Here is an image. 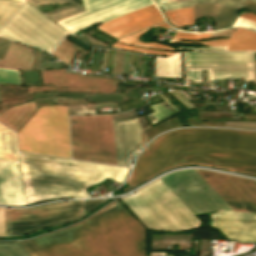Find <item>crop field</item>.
<instances>
[{"instance_id":"48","label":"crop field","mask_w":256,"mask_h":256,"mask_svg":"<svg viewBox=\"0 0 256 256\" xmlns=\"http://www.w3.org/2000/svg\"><path fill=\"white\" fill-rule=\"evenodd\" d=\"M204 78H205V83H209L208 76H207V71H204Z\"/></svg>"},{"instance_id":"26","label":"crop field","mask_w":256,"mask_h":256,"mask_svg":"<svg viewBox=\"0 0 256 256\" xmlns=\"http://www.w3.org/2000/svg\"><path fill=\"white\" fill-rule=\"evenodd\" d=\"M155 26H162V27H165V28H171L169 25L166 24V22H162V23H160L158 25H155ZM155 26L146 28L144 30L138 31V32L133 33L131 35H128L126 37L120 38V39H118L117 42L124 43V44H132V45L145 46V47L173 50L171 48L165 47V46L160 45V44H156V43H143V42L137 41L139 36H141L147 30H149V29H151V28H153Z\"/></svg>"},{"instance_id":"44","label":"crop field","mask_w":256,"mask_h":256,"mask_svg":"<svg viewBox=\"0 0 256 256\" xmlns=\"http://www.w3.org/2000/svg\"><path fill=\"white\" fill-rule=\"evenodd\" d=\"M172 91V90H171ZM172 95H176V94H178L176 91H172V92H170ZM176 98H178L184 105H186L188 108H193L192 107V105L190 104V103H188L187 101H186V99H184L183 97H181L180 95H177V96H175ZM177 99V100H178Z\"/></svg>"},{"instance_id":"9","label":"crop field","mask_w":256,"mask_h":256,"mask_svg":"<svg viewBox=\"0 0 256 256\" xmlns=\"http://www.w3.org/2000/svg\"><path fill=\"white\" fill-rule=\"evenodd\" d=\"M74 206H82V200L46 205L37 208H6V211ZM81 215L82 207L6 212V235H22L39 230L41 228L70 222L81 217Z\"/></svg>"},{"instance_id":"37","label":"crop field","mask_w":256,"mask_h":256,"mask_svg":"<svg viewBox=\"0 0 256 256\" xmlns=\"http://www.w3.org/2000/svg\"><path fill=\"white\" fill-rule=\"evenodd\" d=\"M34 5L38 4H51V3H73L74 0H28Z\"/></svg>"},{"instance_id":"42","label":"crop field","mask_w":256,"mask_h":256,"mask_svg":"<svg viewBox=\"0 0 256 256\" xmlns=\"http://www.w3.org/2000/svg\"><path fill=\"white\" fill-rule=\"evenodd\" d=\"M177 49H191V50H227V47H202V48L177 47Z\"/></svg>"},{"instance_id":"2","label":"crop field","mask_w":256,"mask_h":256,"mask_svg":"<svg viewBox=\"0 0 256 256\" xmlns=\"http://www.w3.org/2000/svg\"><path fill=\"white\" fill-rule=\"evenodd\" d=\"M32 240L47 256H144V230L118 201Z\"/></svg>"},{"instance_id":"33","label":"crop field","mask_w":256,"mask_h":256,"mask_svg":"<svg viewBox=\"0 0 256 256\" xmlns=\"http://www.w3.org/2000/svg\"><path fill=\"white\" fill-rule=\"evenodd\" d=\"M31 256H46L38 246L31 240L17 241Z\"/></svg>"},{"instance_id":"20","label":"crop field","mask_w":256,"mask_h":256,"mask_svg":"<svg viewBox=\"0 0 256 256\" xmlns=\"http://www.w3.org/2000/svg\"><path fill=\"white\" fill-rule=\"evenodd\" d=\"M34 102L13 107L0 115V122L18 131L35 111Z\"/></svg>"},{"instance_id":"25","label":"crop field","mask_w":256,"mask_h":256,"mask_svg":"<svg viewBox=\"0 0 256 256\" xmlns=\"http://www.w3.org/2000/svg\"><path fill=\"white\" fill-rule=\"evenodd\" d=\"M77 50L83 53H89L65 39L52 54L69 65Z\"/></svg>"},{"instance_id":"32","label":"crop field","mask_w":256,"mask_h":256,"mask_svg":"<svg viewBox=\"0 0 256 256\" xmlns=\"http://www.w3.org/2000/svg\"><path fill=\"white\" fill-rule=\"evenodd\" d=\"M112 47L131 50V51H136V52H140V53L154 54V55L168 56V55L172 54V52H165V51L144 49V48H138V47H131V46H126V45H122V44H118V43L113 44Z\"/></svg>"},{"instance_id":"27","label":"crop field","mask_w":256,"mask_h":256,"mask_svg":"<svg viewBox=\"0 0 256 256\" xmlns=\"http://www.w3.org/2000/svg\"><path fill=\"white\" fill-rule=\"evenodd\" d=\"M165 15L168 20L175 26L193 24L192 7L166 12Z\"/></svg>"},{"instance_id":"43","label":"crop field","mask_w":256,"mask_h":256,"mask_svg":"<svg viewBox=\"0 0 256 256\" xmlns=\"http://www.w3.org/2000/svg\"><path fill=\"white\" fill-rule=\"evenodd\" d=\"M243 8L256 12V2L246 0Z\"/></svg>"},{"instance_id":"39","label":"crop field","mask_w":256,"mask_h":256,"mask_svg":"<svg viewBox=\"0 0 256 256\" xmlns=\"http://www.w3.org/2000/svg\"><path fill=\"white\" fill-rule=\"evenodd\" d=\"M0 235H5V208H0Z\"/></svg>"},{"instance_id":"15","label":"crop field","mask_w":256,"mask_h":256,"mask_svg":"<svg viewBox=\"0 0 256 256\" xmlns=\"http://www.w3.org/2000/svg\"><path fill=\"white\" fill-rule=\"evenodd\" d=\"M113 128L116 164L128 166V156L146 141V137L136 118L113 121Z\"/></svg>"},{"instance_id":"1","label":"crop field","mask_w":256,"mask_h":256,"mask_svg":"<svg viewBox=\"0 0 256 256\" xmlns=\"http://www.w3.org/2000/svg\"><path fill=\"white\" fill-rule=\"evenodd\" d=\"M144 151L126 182L129 187L167 167L187 163L256 174V132L173 130L153 140Z\"/></svg>"},{"instance_id":"11","label":"crop field","mask_w":256,"mask_h":256,"mask_svg":"<svg viewBox=\"0 0 256 256\" xmlns=\"http://www.w3.org/2000/svg\"><path fill=\"white\" fill-rule=\"evenodd\" d=\"M234 211L256 212V182L196 170ZM208 175V178L205 176Z\"/></svg>"},{"instance_id":"29","label":"crop field","mask_w":256,"mask_h":256,"mask_svg":"<svg viewBox=\"0 0 256 256\" xmlns=\"http://www.w3.org/2000/svg\"><path fill=\"white\" fill-rule=\"evenodd\" d=\"M21 1L0 0V27L6 22L11 14L21 5Z\"/></svg>"},{"instance_id":"28","label":"crop field","mask_w":256,"mask_h":256,"mask_svg":"<svg viewBox=\"0 0 256 256\" xmlns=\"http://www.w3.org/2000/svg\"><path fill=\"white\" fill-rule=\"evenodd\" d=\"M0 256H30L16 241L0 242Z\"/></svg>"},{"instance_id":"16","label":"crop field","mask_w":256,"mask_h":256,"mask_svg":"<svg viewBox=\"0 0 256 256\" xmlns=\"http://www.w3.org/2000/svg\"><path fill=\"white\" fill-rule=\"evenodd\" d=\"M210 34H188L177 31L168 41L170 43H202L205 46H228V50H256V33L238 28L230 39L205 41V42H185L184 40L210 39Z\"/></svg>"},{"instance_id":"17","label":"crop field","mask_w":256,"mask_h":256,"mask_svg":"<svg viewBox=\"0 0 256 256\" xmlns=\"http://www.w3.org/2000/svg\"><path fill=\"white\" fill-rule=\"evenodd\" d=\"M0 204H25L17 163L0 162Z\"/></svg>"},{"instance_id":"5","label":"crop field","mask_w":256,"mask_h":256,"mask_svg":"<svg viewBox=\"0 0 256 256\" xmlns=\"http://www.w3.org/2000/svg\"><path fill=\"white\" fill-rule=\"evenodd\" d=\"M121 200L147 228L179 232L201 223L160 179Z\"/></svg>"},{"instance_id":"22","label":"crop field","mask_w":256,"mask_h":256,"mask_svg":"<svg viewBox=\"0 0 256 256\" xmlns=\"http://www.w3.org/2000/svg\"><path fill=\"white\" fill-rule=\"evenodd\" d=\"M139 88H141V87H139ZM139 88H137V89H139ZM117 89L129 90V89H134V88L117 86ZM117 91H121V90H117ZM44 95H45V98H52V97H54L55 92L44 93ZM38 96H39V99L44 98L43 93H38ZM38 96H37V93H35L34 99H38ZM56 96L72 97V92H56ZM73 96H86V93H73ZM90 96H91V102H93V98H94V102H105V101H109V100L123 102L119 92L114 93V94H108L109 100H108L107 94H93V98H92V94H90ZM90 96H89V94H87V101H90Z\"/></svg>"},{"instance_id":"38","label":"crop field","mask_w":256,"mask_h":256,"mask_svg":"<svg viewBox=\"0 0 256 256\" xmlns=\"http://www.w3.org/2000/svg\"><path fill=\"white\" fill-rule=\"evenodd\" d=\"M233 26V25H232ZM234 26H245L256 30V24L238 17Z\"/></svg>"},{"instance_id":"14","label":"crop field","mask_w":256,"mask_h":256,"mask_svg":"<svg viewBox=\"0 0 256 256\" xmlns=\"http://www.w3.org/2000/svg\"><path fill=\"white\" fill-rule=\"evenodd\" d=\"M162 21L163 19L159 11L153 4H151L128 14L106 21L103 25L97 28L116 38H120Z\"/></svg>"},{"instance_id":"8","label":"crop field","mask_w":256,"mask_h":256,"mask_svg":"<svg viewBox=\"0 0 256 256\" xmlns=\"http://www.w3.org/2000/svg\"><path fill=\"white\" fill-rule=\"evenodd\" d=\"M68 34L34 7L24 5L1 28L0 35L47 52Z\"/></svg>"},{"instance_id":"3","label":"crop field","mask_w":256,"mask_h":256,"mask_svg":"<svg viewBox=\"0 0 256 256\" xmlns=\"http://www.w3.org/2000/svg\"><path fill=\"white\" fill-rule=\"evenodd\" d=\"M27 204L57 197H86L110 177L122 182L128 168L18 153ZM88 190V189H87Z\"/></svg>"},{"instance_id":"30","label":"crop field","mask_w":256,"mask_h":256,"mask_svg":"<svg viewBox=\"0 0 256 256\" xmlns=\"http://www.w3.org/2000/svg\"><path fill=\"white\" fill-rule=\"evenodd\" d=\"M82 12H85V11L82 9L81 5H79V6H76V7H73V8H69V9L60 11L58 13L49 15V17H51L53 20L58 22V21H61L63 19L69 18L71 16L80 14Z\"/></svg>"},{"instance_id":"21","label":"crop field","mask_w":256,"mask_h":256,"mask_svg":"<svg viewBox=\"0 0 256 256\" xmlns=\"http://www.w3.org/2000/svg\"><path fill=\"white\" fill-rule=\"evenodd\" d=\"M0 160L17 161L15 133L0 124Z\"/></svg>"},{"instance_id":"18","label":"crop field","mask_w":256,"mask_h":256,"mask_svg":"<svg viewBox=\"0 0 256 256\" xmlns=\"http://www.w3.org/2000/svg\"><path fill=\"white\" fill-rule=\"evenodd\" d=\"M239 9L215 4L193 5L194 22L203 16L210 15L214 18L215 29L229 27L236 17Z\"/></svg>"},{"instance_id":"34","label":"crop field","mask_w":256,"mask_h":256,"mask_svg":"<svg viewBox=\"0 0 256 256\" xmlns=\"http://www.w3.org/2000/svg\"><path fill=\"white\" fill-rule=\"evenodd\" d=\"M124 52L115 50L112 74H122Z\"/></svg>"},{"instance_id":"49","label":"crop field","mask_w":256,"mask_h":256,"mask_svg":"<svg viewBox=\"0 0 256 256\" xmlns=\"http://www.w3.org/2000/svg\"><path fill=\"white\" fill-rule=\"evenodd\" d=\"M159 94V93H158ZM161 94V93H160ZM159 94V95H160ZM161 96V95H160ZM162 97V96H161ZM163 98V97H162ZM164 99V98H163ZM165 100V99H164ZM167 104H169L174 110L178 111L173 105H171L169 102L165 101Z\"/></svg>"},{"instance_id":"4","label":"crop field","mask_w":256,"mask_h":256,"mask_svg":"<svg viewBox=\"0 0 256 256\" xmlns=\"http://www.w3.org/2000/svg\"><path fill=\"white\" fill-rule=\"evenodd\" d=\"M193 214L221 210L211 216L256 219V213L234 212L195 170L171 173L160 178ZM211 217L228 238L256 242V220Z\"/></svg>"},{"instance_id":"31","label":"crop field","mask_w":256,"mask_h":256,"mask_svg":"<svg viewBox=\"0 0 256 256\" xmlns=\"http://www.w3.org/2000/svg\"><path fill=\"white\" fill-rule=\"evenodd\" d=\"M0 83H21L18 70L0 69Z\"/></svg>"},{"instance_id":"46","label":"crop field","mask_w":256,"mask_h":256,"mask_svg":"<svg viewBox=\"0 0 256 256\" xmlns=\"http://www.w3.org/2000/svg\"><path fill=\"white\" fill-rule=\"evenodd\" d=\"M79 4H80V3L70 4V5H68V6H65V7H63V8L58 9V11L63 10V9H66V8H69V7H72V6H76V5H79ZM58 11L55 10V11H52V12H49V13H46V14L49 15V14H52V13H55V12H58Z\"/></svg>"},{"instance_id":"12","label":"crop field","mask_w":256,"mask_h":256,"mask_svg":"<svg viewBox=\"0 0 256 256\" xmlns=\"http://www.w3.org/2000/svg\"><path fill=\"white\" fill-rule=\"evenodd\" d=\"M81 2L87 12L58 22L73 33L96 22H104L151 4L150 0H81Z\"/></svg>"},{"instance_id":"45","label":"crop field","mask_w":256,"mask_h":256,"mask_svg":"<svg viewBox=\"0 0 256 256\" xmlns=\"http://www.w3.org/2000/svg\"><path fill=\"white\" fill-rule=\"evenodd\" d=\"M240 17L245 18V19H247V20H250V21L256 23V16H255V15H252V14H250V13L243 14V15H241Z\"/></svg>"},{"instance_id":"10","label":"crop field","mask_w":256,"mask_h":256,"mask_svg":"<svg viewBox=\"0 0 256 256\" xmlns=\"http://www.w3.org/2000/svg\"><path fill=\"white\" fill-rule=\"evenodd\" d=\"M186 65L192 68H213V72H247L248 73H212V69H191L186 66L187 78H195L196 84H202L201 70H208L209 80L224 78H245L253 81L250 52L238 53H203L185 52Z\"/></svg>"},{"instance_id":"47","label":"crop field","mask_w":256,"mask_h":256,"mask_svg":"<svg viewBox=\"0 0 256 256\" xmlns=\"http://www.w3.org/2000/svg\"><path fill=\"white\" fill-rule=\"evenodd\" d=\"M128 92H129V94H130L131 98H132V99H134L135 97H134V95H133L132 91H131V90H129ZM128 92H127V91H125V93H126V95H127L128 99L130 100L131 98H130V96H129Z\"/></svg>"},{"instance_id":"13","label":"crop field","mask_w":256,"mask_h":256,"mask_svg":"<svg viewBox=\"0 0 256 256\" xmlns=\"http://www.w3.org/2000/svg\"><path fill=\"white\" fill-rule=\"evenodd\" d=\"M44 84H55L57 87H93L95 89H55L53 86L30 87L29 92L74 90L89 92H114L117 80L80 76L64 72V69L41 71Z\"/></svg>"},{"instance_id":"23","label":"crop field","mask_w":256,"mask_h":256,"mask_svg":"<svg viewBox=\"0 0 256 256\" xmlns=\"http://www.w3.org/2000/svg\"><path fill=\"white\" fill-rule=\"evenodd\" d=\"M156 76L181 77L179 53L168 58L156 57Z\"/></svg>"},{"instance_id":"41","label":"crop field","mask_w":256,"mask_h":256,"mask_svg":"<svg viewBox=\"0 0 256 256\" xmlns=\"http://www.w3.org/2000/svg\"><path fill=\"white\" fill-rule=\"evenodd\" d=\"M9 43H10V40L0 38V59H2Z\"/></svg>"},{"instance_id":"50","label":"crop field","mask_w":256,"mask_h":256,"mask_svg":"<svg viewBox=\"0 0 256 256\" xmlns=\"http://www.w3.org/2000/svg\"><path fill=\"white\" fill-rule=\"evenodd\" d=\"M170 1H186V0H169V2H170Z\"/></svg>"},{"instance_id":"6","label":"crop field","mask_w":256,"mask_h":256,"mask_svg":"<svg viewBox=\"0 0 256 256\" xmlns=\"http://www.w3.org/2000/svg\"><path fill=\"white\" fill-rule=\"evenodd\" d=\"M17 137L20 151L71 158L67 106L39 108Z\"/></svg>"},{"instance_id":"35","label":"crop field","mask_w":256,"mask_h":256,"mask_svg":"<svg viewBox=\"0 0 256 256\" xmlns=\"http://www.w3.org/2000/svg\"><path fill=\"white\" fill-rule=\"evenodd\" d=\"M162 104V103H161ZM160 103H158V105L164 109L169 115L171 113H173L172 111H170L166 106V108L171 112H169L163 105H161ZM157 104L151 105L149 106L153 111V113H151L158 121L166 118L167 116H169L164 110H162Z\"/></svg>"},{"instance_id":"40","label":"crop field","mask_w":256,"mask_h":256,"mask_svg":"<svg viewBox=\"0 0 256 256\" xmlns=\"http://www.w3.org/2000/svg\"><path fill=\"white\" fill-rule=\"evenodd\" d=\"M41 55H42V52H40L39 50L36 49L35 54H34V58H33V61H32L31 69H38L40 59H41Z\"/></svg>"},{"instance_id":"24","label":"crop field","mask_w":256,"mask_h":256,"mask_svg":"<svg viewBox=\"0 0 256 256\" xmlns=\"http://www.w3.org/2000/svg\"><path fill=\"white\" fill-rule=\"evenodd\" d=\"M155 1L159 6L163 7L164 12L192 6V4H196V3H220L226 6H234V7L242 8L245 2V0H194V1H186V2H174V3H161V0H155ZM253 1H256V0H253Z\"/></svg>"},{"instance_id":"7","label":"crop field","mask_w":256,"mask_h":256,"mask_svg":"<svg viewBox=\"0 0 256 256\" xmlns=\"http://www.w3.org/2000/svg\"><path fill=\"white\" fill-rule=\"evenodd\" d=\"M70 128L74 159L115 164L111 114L71 116Z\"/></svg>"},{"instance_id":"19","label":"crop field","mask_w":256,"mask_h":256,"mask_svg":"<svg viewBox=\"0 0 256 256\" xmlns=\"http://www.w3.org/2000/svg\"><path fill=\"white\" fill-rule=\"evenodd\" d=\"M22 48H23L22 45H19L11 41L3 60L0 61V67L14 68L18 61ZM31 52H32V49H29L26 47L23 48V51L21 53V56L16 68H20V69L30 68V64L33 57V54Z\"/></svg>"},{"instance_id":"36","label":"crop field","mask_w":256,"mask_h":256,"mask_svg":"<svg viewBox=\"0 0 256 256\" xmlns=\"http://www.w3.org/2000/svg\"><path fill=\"white\" fill-rule=\"evenodd\" d=\"M107 200L109 199L85 201V214L89 213Z\"/></svg>"}]
</instances>
